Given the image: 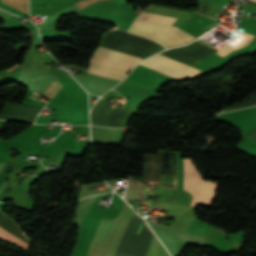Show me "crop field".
I'll return each instance as SVG.
<instances>
[{
    "label": "crop field",
    "mask_w": 256,
    "mask_h": 256,
    "mask_svg": "<svg viewBox=\"0 0 256 256\" xmlns=\"http://www.w3.org/2000/svg\"><path fill=\"white\" fill-rule=\"evenodd\" d=\"M139 61L99 46L90 59L87 72L121 81Z\"/></svg>",
    "instance_id": "obj_1"
},
{
    "label": "crop field",
    "mask_w": 256,
    "mask_h": 256,
    "mask_svg": "<svg viewBox=\"0 0 256 256\" xmlns=\"http://www.w3.org/2000/svg\"><path fill=\"white\" fill-rule=\"evenodd\" d=\"M130 31L155 40L163 44L166 48L190 42L195 38L176 27L138 19H136Z\"/></svg>",
    "instance_id": "obj_2"
},
{
    "label": "crop field",
    "mask_w": 256,
    "mask_h": 256,
    "mask_svg": "<svg viewBox=\"0 0 256 256\" xmlns=\"http://www.w3.org/2000/svg\"><path fill=\"white\" fill-rule=\"evenodd\" d=\"M184 188L193 196L191 205H196L202 178L193 159H183ZM218 181L203 180L197 205L210 207Z\"/></svg>",
    "instance_id": "obj_3"
},
{
    "label": "crop field",
    "mask_w": 256,
    "mask_h": 256,
    "mask_svg": "<svg viewBox=\"0 0 256 256\" xmlns=\"http://www.w3.org/2000/svg\"><path fill=\"white\" fill-rule=\"evenodd\" d=\"M140 65L175 78L177 80L191 78L204 73L193 67L184 65L182 63L176 62L170 58H167L161 54H158L144 62Z\"/></svg>",
    "instance_id": "obj_4"
},
{
    "label": "crop field",
    "mask_w": 256,
    "mask_h": 256,
    "mask_svg": "<svg viewBox=\"0 0 256 256\" xmlns=\"http://www.w3.org/2000/svg\"><path fill=\"white\" fill-rule=\"evenodd\" d=\"M0 227L7 230L8 232L14 234L15 236L21 238L24 240L26 243H29L27 241L20 230V228L15 224L13 220L10 218L6 217L0 212ZM0 228V239L9 241L17 246H19L22 249H27L28 244H26L24 241L21 239L13 236L12 234L4 231L3 229Z\"/></svg>",
    "instance_id": "obj_5"
},
{
    "label": "crop field",
    "mask_w": 256,
    "mask_h": 256,
    "mask_svg": "<svg viewBox=\"0 0 256 256\" xmlns=\"http://www.w3.org/2000/svg\"><path fill=\"white\" fill-rule=\"evenodd\" d=\"M137 18L170 25L175 18L142 12Z\"/></svg>",
    "instance_id": "obj_6"
},
{
    "label": "crop field",
    "mask_w": 256,
    "mask_h": 256,
    "mask_svg": "<svg viewBox=\"0 0 256 256\" xmlns=\"http://www.w3.org/2000/svg\"><path fill=\"white\" fill-rule=\"evenodd\" d=\"M252 1H255V2H256V0H252Z\"/></svg>",
    "instance_id": "obj_7"
}]
</instances>
